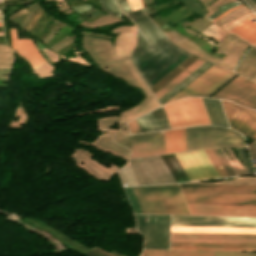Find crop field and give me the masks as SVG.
I'll use <instances>...</instances> for the list:
<instances>
[{"mask_svg": "<svg viewBox=\"0 0 256 256\" xmlns=\"http://www.w3.org/2000/svg\"><path fill=\"white\" fill-rule=\"evenodd\" d=\"M187 150L222 147L235 148L245 145L244 138L226 128L214 126L185 128Z\"/></svg>", "mask_w": 256, "mask_h": 256, "instance_id": "2", "label": "crop field"}, {"mask_svg": "<svg viewBox=\"0 0 256 256\" xmlns=\"http://www.w3.org/2000/svg\"><path fill=\"white\" fill-rule=\"evenodd\" d=\"M170 249H214V250L256 251V250H249V249H217V248H185V247H170Z\"/></svg>", "mask_w": 256, "mask_h": 256, "instance_id": "35", "label": "crop field"}, {"mask_svg": "<svg viewBox=\"0 0 256 256\" xmlns=\"http://www.w3.org/2000/svg\"><path fill=\"white\" fill-rule=\"evenodd\" d=\"M0 31H4V30H0Z\"/></svg>", "mask_w": 256, "mask_h": 256, "instance_id": "44", "label": "crop field"}, {"mask_svg": "<svg viewBox=\"0 0 256 256\" xmlns=\"http://www.w3.org/2000/svg\"><path fill=\"white\" fill-rule=\"evenodd\" d=\"M179 186L182 192L256 194V185L181 183Z\"/></svg>", "mask_w": 256, "mask_h": 256, "instance_id": "13", "label": "crop field"}, {"mask_svg": "<svg viewBox=\"0 0 256 256\" xmlns=\"http://www.w3.org/2000/svg\"><path fill=\"white\" fill-rule=\"evenodd\" d=\"M211 65H213V63H210L208 61L203 63L200 67H198L195 71H193L185 79H183L176 86H174L171 90H169L166 94H164L161 98H159L158 101H159L160 105H163L164 103H166L169 99H171L175 94H177L180 90H182L185 86H187L195 78H197L201 73H203Z\"/></svg>", "mask_w": 256, "mask_h": 256, "instance_id": "23", "label": "crop field"}, {"mask_svg": "<svg viewBox=\"0 0 256 256\" xmlns=\"http://www.w3.org/2000/svg\"><path fill=\"white\" fill-rule=\"evenodd\" d=\"M245 12H247V9L245 7H241L239 9H236V10L230 12L226 16L218 19L217 21H215V23H217L219 26L222 27L225 24H227L228 22H230L231 20H233L234 18L238 17L239 15H241Z\"/></svg>", "mask_w": 256, "mask_h": 256, "instance_id": "28", "label": "crop field"}, {"mask_svg": "<svg viewBox=\"0 0 256 256\" xmlns=\"http://www.w3.org/2000/svg\"><path fill=\"white\" fill-rule=\"evenodd\" d=\"M241 6H242V5H239V6H237V7H234V8H231V9H229V10L225 11L221 16H219V17L215 18L214 20H216V19H218V18H220V17H222V16L226 15V14H227V13H229L230 11H232V10H234V9L238 8V7H241ZM214 20H213V21H214Z\"/></svg>", "mask_w": 256, "mask_h": 256, "instance_id": "39", "label": "crop field"}, {"mask_svg": "<svg viewBox=\"0 0 256 256\" xmlns=\"http://www.w3.org/2000/svg\"><path fill=\"white\" fill-rule=\"evenodd\" d=\"M187 203L256 205V195L182 193Z\"/></svg>", "mask_w": 256, "mask_h": 256, "instance_id": "10", "label": "crop field"}, {"mask_svg": "<svg viewBox=\"0 0 256 256\" xmlns=\"http://www.w3.org/2000/svg\"><path fill=\"white\" fill-rule=\"evenodd\" d=\"M230 128L256 140V112L221 100Z\"/></svg>", "mask_w": 256, "mask_h": 256, "instance_id": "7", "label": "crop field"}, {"mask_svg": "<svg viewBox=\"0 0 256 256\" xmlns=\"http://www.w3.org/2000/svg\"><path fill=\"white\" fill-rule=\"evenodd\" d=\"M207 156L209 157L211 163L213 164L215 170L217 171L219 177L227 176L226 172L224 171L223 167L219 163L218 159L216 158L215 154L213 153L212 149L205 150Z\"/></svg>", "mask_w": 256, "mask_h": 256, "instance_id": "29", "label": "crop field"}, {"mask_svg": "<svg viewBox=\"0 0 256 256\" xmlns=\"http://www.w3.org/2000/svg\"><path fill=\"white\" fill-rule=\"evenodd\" d=\"M163 108L171 128L210 124L201 98L182 99Z\"/></svg>", "mask_w": 256, "mask_h": 256, "instance_id": "3", "label": "crop field"}, {"mask_svg": "<svg viewBox=\"0 0 256 256\" xmlns=\"http://www.w3.org/2000/svg\"><path fill=\"white\" fill-rule=\"evenodd\" d=\"M10 35H11L12 48L17 49L19 54L30 63L32 69H35L40 65L44 64L45 62H47L40 56L32 40L30 39L17 40L16 30L12 28H10Z\"/></svg>", "mask_w": 256, "mask_h": 256, "instance_id": "16", "label": "crop field"}, {"mask_svg": "<svg viewBox=\"0 0 256 256\" xmlns=\"http://www.w3.org/2000/svg\"><path fill=\"white\" fill-rule=\"evenodd\" d=\"M166 153L185 151L184 128L164 131Z\"/></svg>", "mask_w": 256, "mask_h": 256, "instance_id": "22", "label": "crop field"}, {"mask_svg": "<svg viewBox=\"0 0 256 256\" xmlns=\"http://www.w3.org/2000/svg\"><path fill=\"white\" fill-rule=\"evenodd\" d=\"M171 241L256 243V235L171 233Z\"/></svg>", "mask_w": 256, "mask_h": 256, "instance_id": "12", "label": "crop field"}, {"mask_svg": "<svg viewBox=\"0 0 256 256\" xmlns=\"http://www.w3.org/2000/svg\"><path fill=\"white\" fill-rule=\"evenodd\" d=\"M141 2H142V6L144 7V0H141Z\"/></svg>", "mask_w": 256, "mask_h": 256, "instance_id": "40", "label": "crop field"}, {"mask_svg": "<svg viewBox=\"0 0 256 256\" xmlns=\"http://www.w3.org/2000/svg\"><path fill=\"white\" fill-rule=\"evenodd\" d=\"M132 10H136V9H139V8H142L139 0H128Z\"/></svg>", "mask_w": 256, "mask_h": 256, "instance_id": "38", "label": "crop field"}, {"mask_svg": "<svg viewBox=\"0 0 256 256\" xmlns=\"http://www.w3.org/2000/svg\"><path fill=\"white\" fill-rule=\"evenodd\" d=\"M170 246H185V247H217V248H249V249H256V244H242V243H194V242H170Z\"/></svg>", "mask_w": 256, "mask_h": 256, "instance_id": "26", "label": "crop field"}, {"mask_svg": "<svg viewBox=\"0 0 256 256\" xmlns=\"http://www.w3.org/2000/svg\"><path fill=\"white\" fill-rule=\"evenodd\" d=\"M118 3H119V5H120V7H121L123 12L127 13V12H131L132 11L130 6H129V4H128V2H127V0L120 1Z\"/></svg>", "mask_w": 256, "mask_h": 256, "instance_id": "36", "label": "crop field"}, {"mask_svg": "<svg viewBox=\"0 0 256 256\" xmlns=\"http://www.w3.org/2000/svg\"><path fill=\"white\" fill-rule=\"evenodd\" d=\"M233 76L235 74L214 64L167 103L186 96L209 97Z\"/></svg>", "mask_w": 256, "mask_h": 256, "instance_id": "4", "label": "crop field"}, {"mask_svg": "<svg viewBox=\"0 0 256 256\" xmlns=\"http://www.w3.org/2000/svg\"><path fill=\"white\" fill-rule=\"evenodd\" d=\"M132 157L165 153L163 131L131 136Z\"/></svg>", "mask_w": 256, "mask_h": 256, "instance_id": "11", "label": "crop field"}, {"mask_svg": "<svg viewBox=\"0 0 256 256\" xmlns=\"http://www.w3.org/2000/svg\"><path fill=\"white\" fill-rule=\"evenodd\" d=\"M100 3L104 10L120 17L121 15V10L118 8L115 0H100Z\"/></svg>", "mask_w": 256, "mask_h": 256, "instance_id": "30", "label": "crop field"}, {"mask_svg": "<svg viewBox=\"0 0 256 256\" xmlns=\"http://www.w3.org/2000/svg\"><path fill=\"white\" fill-rule=\"evenodd\" d=\"M86 254L90 255V256H111L108 253L98 249V248H93L92 250H90L89 252H87Z\"/></svg>", "mask_w": 256, "mask_h": 256, "instance_id": "33", "label": "crop field"}, {"mask_svg": "<svg viewBox=\"0 0 256 256\" xmlns=\"http://www.w3.org/2000/svg\"><path fill=\"white\" fill-rule=\"evenodd\" d=\"M236 2H238V1H236ZM233 3H235V2H233ZM233 3H230V4H228V5H231V4H233ZM238 4H241L240 2L239 3H237V4H235V5H232V6H229V7H226V8H224V9H222L223 7H225V6H228V5H224V6H222V7H220L218 10H216L213 14H211L209 17H207V18H209V19H213V18H215V17H217L218 15H220L222 12H224L226 9H228V8H231V7H234V6H236V5H238ZM220 9H222L220 12H218ZM218 12V13H217ZM217 13V14H216ZM216 14V15H215ZM215 15V16H214ZM214 16V17H213Z\"/></svg>", "mask_w": 256, "mask_h": 256, "instance_id": "34", "label": "crop field"}, {"mask_svg": "<svg viewBox=\"0 0 256 256\" xmlns=\"http://www.w3.org/2000/svg\"><path fill=\"white\" fill-rule=\"evenodd\" d=\"M134 216L136 219L137 227L142 233L144 238L143 248L168 249L170 216H164V215L149 216L148 246H146L145 234L140 229L138 219H137V216H146V215H134Z\"/></svg>", "mask_w": 256, "mask_h": 256, "instance_id": "9", "label": "crop field"}, {"mask_svg": "<svg viewBox=\"0 0 256 256\" xmlns=\"http://www.w3.org/2000/svg\"><path fill=\"white\" fill-rule=\"evenodd\" d=\"M239 156L240 161L242 162L243 166L247 170L248 173H254L249 165L246 153H245V146L236 150Z\"/></svg>", "mask_w": 256, "mask_h": 256, "instance_id": "32", "label": "crop field"}, {"mask_svg": "<svg viewBox=\"0 0 256 256\" xmlns=\"http://www.w3.org/2000/svg\"><path fill=\"white\" fill-rule=\"evenodd\" d=\"M189 55L168 38L152 44L138 28V48L132 53V59L149 88Z\"/></svg>", "mask_w": 256, "mask_h": 256, "instance_id": "1", "label": "crop field"}, {"mask_svg": "<svg viewBox=\"0 0 256 256\" xmlns=\"http://www.w3.org/2000/svg\"><path fill=\"white\" fill-rule=\"evenodd\" d=\"M210 123L215 125L228 126L219 100L202 98Z\"/></svg>", "mask_w": 256, "mask_h": 256, "instance_id": "24", "label": "crop field"}, {"mask_svg": "<svg viewBox=\"0 0 256 256\" xmlns=\"http://www.w3.org/2000/svg\"><path fill=\"white\" fill-rule=\"evenodd\" d=\"M254 4H256V0H251Z\"/></svg>", "mask_w": 256, "mask_h": 256, "instance_id": "41", "label": "crop field"}, {"mask_svg": "<svg viewBox=\"0 0 256 256\" xmlns=\"http://www.w3.org/2000/svg\"><path fill=\"white\" fill-rule=\"evenodd\" d=\"M158 187L169 214H189L177 184Z\"/></svg>", "mask_w": 256, "mask_h": 256, "instance_id": "17", "label": "crop field"}, {"mask_svg": "<svg viewBox=\"0 0 256 256\" xmlns=\"http://www.w3.org/2000/svg\"><path fill=\"white\" fill-rule=\"evenodd\" d=\"M1 8V7H0Z\"/></svg>", "mask_w": 256, "mask_h": 256, "instance_id": "45", "label": "crop field"}, {"mask_svg": "<svg viewBox=\"0 0 256 256\" xmlns=\"http://www.w3.org/2000/svg\"><path fill=\"white\" fill-rule=\"evenodd\" d=\"M171 232L256 234V228L171 226Z\"/></svg>", "mask_w": 256, "mask_h": 256, "instance_id": "21", "label": "crop field"}, {"mask_svg": "<svg viewBox=\"0 0 256 256\" xmlns=\"http://www.w3.org/2000/svg\"><path fill=\"white\" fill-rule=\"evenodd\" d=\"M191 214L256 215V206L187 204Z\"/></svg>", "mask_w": 256, "mask_h": 256, "instance_id": "15", "label": "crop field"}, {"mask_svg": "<svg viewBox=\"0 0 256 256\" xmlns=\"http://www.w3.org/2000/svg\"><path fill=\"white\" fill-rule=\"evenodd\" d=\"M214 153L216 154L217 158L221 162L222 166L224 167L225 171L227 172L228 176L235 175L234 171L232 170L231 166L229 165L227 159L225 158L224 154L222 153L221 149H213Z\"/></svg>", "mask_w": 256, "mask_h": 256, "instance_id": "31", "label": "crop field"}, {"mask_svg": "<svg viewBox=\"0 0 256 256\" xmlns=\"http://www.w3.org/2000/svg\"><path fill=\"white\" fill-rule=\"evenodd\" d=\"M255 17L254 15L242 22L240 25L232 29L230 32L238 35L245 41L256 44V23H251L249 20Z\"/></svg>", "mask_w": 256, "mask_h": 256, "instance_id": "25", "label": "crop field"}, {"mask_svg": "<svg viewBox=\"0 0 256 256\" xmlns=\"http://www.w3.org/2000/svg\"><path fill=\"white\" fill-rule=\"evenodd\" d=\"M205 60L198 58L191 65H189L185 70H183L180 74H178L174 79H172L169 83H167L163 88H161L154 95L158 99L164 93H166L169 89H171L174 85H176L179 81L185 78L188 74H190L193 70H195L198 66H200Z\"/></svg>", "mask_w": 256, "mask_h": 256, "instance_id": "27", "label": "crop field"}, {"mask_svg": "<svg viewBox=\"0 0 256 256\" xmlns=\"http://www.w3.org/2000/svg\"><path fill=\"white\" fill-rule=\"evenodd\" d=\"M212 97L231 100L256 110V84L240 76Z\"/></svg>", "mask_w": 256, "mask_h": 256, "instance_id": "6", "label": "crop field"}, {"mask_svg": "<svg viewBox=\"0 0 256 256\" xmlns=\"http://www.w3.org/2000/svg\"><path fill=\"white\" fill-rule=\"evenodd\" d=\"M128 126H129V129H130L131 134L140 132V131H139V128H138V126H137L136 120H134V121L128 123Z\"/></svg>", "mask_w": 256, "mask_h": 256, "instance_id": "37", "label": "crop field"}, {"mask_svg": "<svg viewBox=\"0 0 256 256\" xmlns=\"http://www.w3.org/2000/svg\"><path fill=\"white\" fill-rule=\"evenodd\" d=\"M190 181L218 177L204 150L175 154Z\"/></svg>", "mask_w": 256, "mask_h": 256, "instance_id": "5", "label": "crop field"}, {"mask_svg": "<svg viewBox=\"0 0 256 256\" xmlns=\"http://www.w3.org/2000/svg\"><path fill=\"white\" fill-rule=\"evenodd\" d=\"M143 213L167 214L156 186L133 187Z\"/></svg>", "mask_w": 256, "mask_h": 256, "instance_id": "14", "label": "crop field"}, {"mask_svg": "<svg viewBox=\"0 0 256 256\" xmlns=\"http://www.w3.org/2000/svg\"><path fill=\"white\" fill-rule=\"evenodd\" d=\"M126 16L137 23L152 43L166 38V35L141 10Z\"/></svg>", "mask_w": 256, "mask_h": 256, "instance_id": "20", "label": "crop field"}, {"mask_svg": "<svg viewBox=\"0 0 256 256\" xmlns=\"http://www.w3.org/2000/svg\"><path fill=\"white\" fill-rule=\"evenodd\" d=\"M171 225L256 227V218L172 216Z\"/></svg>", "mask_w": 256, "mask_h": 256, "instance_id": "8", "label": "crop field"}, {"mask_svg": "<svg viewBox=\"0 0 256 256\" xmlns=\"http://www.w3.org/2000/svg\"><path fill=\"white\" fill-rule=\"evenodd\" d=\"M141 256H256V252L143 250Z\"/></svg>", "mask_w": 256, "mask_h": 256, "instance_id": "18", "label": "crop field"}, {"mask_svg": "<svg viewBox=\"0 0 256 256\" xmlns=\"http://www.w3.org/2000/svg\"><path fill=\"white\" fill-rule=\"evenodd\" d=\"M136 120L141 132L170 128L162 107Z\"/></svg>", "mask_w": 256, "mask_h": 256, "instance_id": "19", "label": "crop field"}, {"mask_svg": "<svg viewBox=\"0 0 256 256\" xmlns=\"http://www.w3.org/2000/svg\"><path fill=\"white\" fill-rule=\"evenodd\" d=\"M0 26H2V24L0 23Z\"/></svg>", "mask_w": 256, "mask_h": 256, "instance_id": "43", "label": "crop field"}, {"mask_svg": "<svg viewBox=\"0 0 256 256\" xmlns=\"http://www.w3.org/2000/svg\"><path fill=\"white\" fill-rule=\"evenodd\" d=\"M145 2H146V5H148V2H147V0H145Z\"/></svg>", "mask_w": 256, "mask_h": 256, "instance_id": "42", "label": "crop field"}]
</instances>
